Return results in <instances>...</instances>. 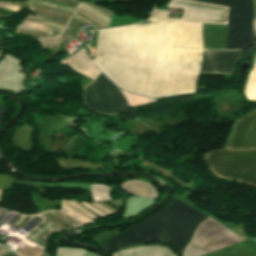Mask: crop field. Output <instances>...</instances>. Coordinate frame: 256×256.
Returning a JSON list of instances; mask_svg holds the SVG:
<instances>
[{"label":"crop field","instance_id":"obj_1","mask_svg":"<svg viewBox=\"0 0 256 256\" xmlns=\"http://www.w3.org/2000/svg\"><path fill=\"white\" fill-rule=\"evenodd\" d=\"M201 24L161 21L98 31L95 64L117 86L155 99L194 93ZM181 47V48H173Z\"/></svg>","mask_w":256,"mask_h":256},{"label":"crop field","instance_id":"obj_2","mask_svg":"<svg viewBox=\"0 0 256 256\" xmlns=\"http://www.w3.org/2000/svg\"><path fill=\"white\" fill-rule=\"evenodd\" d=\"M206 217L172 198L161 212L104 242L100 248L110 251L128 245L160 241L172 245L181 255L195 227ZM240 241L243 240L209 217L197 227L183 256H200Z\"/></svg>","mask_w":256,"mask_h":256},{"label":"crop field","instance_id":"obj_3","mask_svg":"<svg viewBox=\"0 0 256 256\" xmlns=\"http://www.w3.org/2000/svg\"><path fill=\"white\" fill-rule=\"evenodd\" d=\"M204 160L216 173L256 186V150H218L206 154Z\"/></svg>","mask_w":256,"mask_h":256},{"label":"crop field","instance_id":"obj_4","mask_svg":"<svg viewBox=\"0 0 256 256\" xmlns=\"http://www.w3.org/2000/svg\"><path fill=\"white\" fill-rule=\"evenodd\" d=\"M230 6L227 49H244L256 37L252 29L250 0H193Z\"/></svg>","mask_w":256,"mask_h":256},{"label":"crop field","instance_id":"obj_5","mask_svg":"<svg viewBox=\"0 0 256 256\" xmlns=\"http://www.w3.org/2000/svg\"><path fill=\"white\" fill-rule=\"evenodd\" d=\"M168 7L185 9L182 19L168 18L169 12L154 10L150 22L161 20H180L198 23L227 24L229 7L205 4L187 0H171Z\"/></svg>","mask_w":256,"mask_h":256},{"label":"crop field","instance_id":"obj_6","mask_svg":"<svg viewBox=\"0 0 256 256\" xmlns=\"http://www.w3.org/2000/svg\"><path fill=\"white\" fill-rule=\"evenodd\" d=\"M86 105L103 113L116 114L129 110L120 90L101 75L89 83L84 91Z\"/></svg>","mask_w":256,"mask_h":256},{"label":"crop field","instance_id":"obj_7","mask_svg":"<svg viewBox=\"0 0 256 256\" xmlns=\"http://www.w3.org/2000/svg\"><path fill=\"white\" fill-rule=\"evenodd\" d=\"M256 148V111L241 117L227 149Z\"/></svg>","mask_w":256,"mask_h":256},{"label":"crop field","instance_id":"obj_8","mask_svg":"<svg viewBox=\"0 0 256 256\" xmlns=\"http://www.w3.org/2000/svg\"><path fill=\"white\" fill-rule=\"evenodd\" d=\"M241 50L214 51L206 50L203 56L201 71L232 73L234 64L239 58Z\"/></svg>","mask_w":256,"mask_h":256},{"label":"crop field","instance_id":"obj_9","mask_svg":"<svg viewBox=\"0 0 256 256\" xmlns=\"http://www.w3.org/2000/svg\"><path fill=\"white\" fill-rule=\"evenodd\" d=\"M68 63L73 69L93 79L100 73L97 67L92 63V61L86 55L84 49L80 50L75 55L68 58Z\"/></svg>","mask_w":256,"mask_h":256},{"label":"crop field","instance_id":"obj_10","mask_svg":"<svg viewBox=\"0 0 256 256\" xmlns=\"http://www.w3.org/2000/svg\"><path fill=\"white\" fill-rule=\"evenodd\" d=\"M203 256H256V242L250 239Z\"/></svg>","mask_w":256,"mask_h":256},{"label":"crop field","instance_id":"obj_11","mask_svg":"<svg viewBox=\"0 0 256 256\" xmlns=\"http://www.w3.org/2000/svg\"><path fill=\"white\" fill-rule=\"evenodd\" d=\"M146 183L143 181L130 180L127 182H123L121 187L128 192L134 193L139 196H146L153 200L156 196V192L152 186Z\"/></svg>","mask_w":256,"mask_h":256},{"label":"crop field","instance_id":"obj_12","mask_svg":"<svg viewBox=\"0 0 256 256\" xmlns=\"http://www.w3.org/2000/svg\"><path fill=\"white\" fill-rule=\"evenodd\" d=\"M244 94L247 99L256 100V64L247 78Z\"/></svg>","mask_w":256,"mask_h":256},{"label":"crop field","instance_id":"obj_13","mask_svg":"<svg viewBox=\"0 0 256 256\" xmlns=\"http://www.w3.org/2000/svg\"><path fill=\"white\" fill-rule=\"evenodd\" d=\"M91 194L93 201H102L110 199L109 187L102 185H91Z\"/></svg>","mask_w":256,"mask_h":256},{"label":"crop field","instance_id":"obj_14","mask_svg":"<svg viewBox=\"0 0 256 256\" xmlns=\"http://www.w3.org/2000/svg\"><path fill=\"white\" fill-rule=\"evenodd\" d=\"M121 92L125 96V98H126L127 102L129 103L130 107L146 104V103H149V102H152V101H156V100L149 99L147 97L127 93V92H124V91H121Z\"/></svg>","mask_w":256,"mask_h":256},{"label":"crop field","instance_id":"obj_15","mask_svg":"<svg viewBox=\"0 0 256 256\" xmlns=\"http://www.w3.org/2000/svg\"><path fill=\"white\" fill-rule=\"evenodd\" d=\"M12 184L22 185V186H34V184L17 181L6 175H0V189H11Z\"/></svg>","mask_w":256,"mask_h":256},{"label":"crop field","instance_id":"obj_16","mask_svg":"<svg viewBox=\"0 0 256 256\" xmlns=\"http://www.w3.org/2000/svg\"><path fill=\"white\" fill-rule=\"evenodd\" d=\"M39 41L41 42L43 47H51L53 44H57L58 43L56 37L42 38V39H39Z\"/></svg>","mask_w":256,"mask_h":256},{"label":"crop field","instance_id":"obj_17","mask_svg":"<svg viewBox=\"0 0 256 256\" xmlns=\"http://www.w3.org/2000/svg\"><path fill=\"white\" fill-rule=\"evenodd\" d=\"M7 111V107L0 105V123L2 122Z\"/></svg>","mask_w":256,"mask_h":256},{"label":"crop field","instance_id":"obj_18","mask_svg":"<svg viewBox=\"0 0 256 256\" xmlns=\"http://www.w3.org/2000/svg\"><path fill=\"white\" fill-rule=\"evenodd\" d=\"M3 256H16V255L10 252V253H7V254H5Z\"/></svg>","mask_w":256,"mask_h":256},{"label":"crop field","instance_id":"obj_19","mask_svg":"<svg viewBox=\"0 0 256 256\" xmlns=\"http://www.w3.org/2000/svg\"><path fill=\"white\" fill-rule=\"evenodd\" d=\"M3 191H4V190H0V198H1V195H2Z\"/></svg>","mask_w":256,"mask_h":256},{"label":"crop field","instance_id":"obj_20","mask_svg":"<svg viewBox=\"0 0 256 256\" xmlns=\"http://www.w3.org/2000/svg\"><path fill=\"white\" fill-rule=\"evenodd\" d=\"M255 28H256V20H255Z\"/></svg>","mask_w":256,"mask_h":256}]
</instances>
